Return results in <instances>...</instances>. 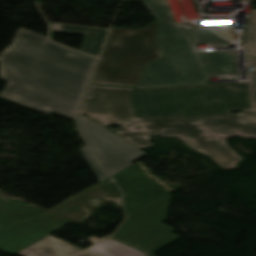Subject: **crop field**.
Segmentation results:
<instances>
[{"label": "crop field", "mask_w": 256, "mask_h": 256, "mask_svg": "<svg viewBox=\"0 0 256 256\" xmlns=\"http://www.w3.org/2000/svg\"><path fill=\"white\" fill-rule=\"evenodd\" d=\"M96 59L19 30L0 55V97L75 119Z\"/></svg>", "instance_id": "1"}, {"label": "crop field", "mask_w": 256, "mask_h": 256, "mask_svg": "<svg viewBox=\"0 0 256 256\" xmlns=\"http://www.w3.org/2000/svg\"><path fill=\"white\" fill-rule=\"evenodd\" d=\"M133 88L90 85L81 112L102 125L118 124L117 134L140 148L153 145L149 135L178 137L193 149L213 158L224 170L238 168L243 158L227 137L256 139V117L244 112L168 119H135L130 93Z\"/></svg>", "instance_id": "2"}, {"label": "crop field", "mask_w": 256, "mask_h": 256, "mask_svg": "<svg viewBox=\"0 0 256 256\" xmlns=\"http://www.w3.org/2000/svg\"><path fill=\"white\" fill-rule=\"evenodd\" d=\"M143 1L159 21L156 36L165 57L149 63L137 88L200 85L210 83V77H238L234 51L199 52L197 47L223 46L228 40L203 27L175 24L168 2Z\"/></svg>", "instance_id": "3"}, {"label": "crop field", "mask_w": 256, "mask_h": 256, "mask_svg": "<svg viewBox=\"0 0 256 256\" xmlns=\"http://www.w3.org/2000/svg\"><path fill=\"white\" fill-rule=\"evenodd\" d=\"M97 198L122 205L121 193L110 177L49 211L0 198V249L13 254L73 221H82L89 215L84 204Z\"/></svg>", "instance_id": "4"}, {"label": "crop field", "mask_w": 256, "mask_h": 256, "mask_svg": "<svg viewBox=\"0 0 256 256\" xmlns=\"http://www.w3.org/2000/svg\"><path fill=\"white\" fill-rule=\"evenodd\" d=\"M112 27L91 83L136 86L149 62L162 57L155 32Z\"/></svg>", "instance_id": "5"}, {"label": "crop field", "mask_w": 256, "mask_h": 256, "mask_svg": "<svg viewBox=\"0 0 256 256\" xmlns=\"http://www.w3.org/2000/svg\"><path fill=\"white\" fill-rule=\"evenodd\" d=\"M103 128L80 114L79 129L82 135L111 175L147 155Z\"/></svg>", "instance_id": "6"}, {"label": "crop field", "mask_w": 256, "mask_h": 256, "mask_svg": "<svg viewBox=\"0 0 256 256\" xmlns=\"http://www.w3.org/2000/svg\"><path fill=\"white\" fill-rule=\"evenodd\" d=\"M203 86L133 90L131 97L136 118L177 117L196 101Z\"/></svg>", "instance_id": "7"}, {"label": "crop field", "mask_w": 256, "mask_h": 256, "mask_svg": "<svg viewBox=\"0 0 256 256\" xmlns=\"http://www.w3.org/2000/svg\"><path fill=\"white\" fill-rule=\"evenodd\" d=\"M125 193L128 216L175 191L134 163L112 175Z\"/></svg>", "instance_id": "8"}, {"label": "crop field", "mask_w": 256, "mask_h": 256, "mask_svg": "<svg viewBox=\"0 0 256 256\" xmlns=\"http://www.w3.org/2000/svg\"><path fill=\"white\" fill-rule=\"evenodd\" d=\"M24 256H147L141 251L107 238L85 251L47 236L18 252Z\"/></svg>", "instance_id": "9"}, {"label": "crop field", "mask_w": 256, "mask_h": 256, "mask_svg": "<svg viewBox=\"0 0 256 256\" xmlns=\"http://www.w3.org/2000/svg\"><path fill=\"white\" fill-rule=\"evenodd\" d=\"M249 108L246 83L207 85L200 99L180 116L205 115Z\"/></svg>", "instance_id": "10"}, {"label": "crop field", "mask_w": 256, "mask_h": 256, "mask_svg": "<svg viewBox=\"0 0 256 256\" xmlns=\"http://www.w3.org/2000/svg\"><path fill=\"white\" fill-rule=\"evenodd\" d=\"M169 200L170 195H167L150 206L129 216L119 231L111 237L127 241L164 222L166 219ZM126 231H132V233L127 235L125 234Z\"/></svg>", "instance_id": "11"}, {"label": "crop field", "mask_w": 256, "mask_h": 256, "mask_svg": "<svg viewBox=\"0 0 256 256\" xmlns=\"http://www.w3.org/2000/svg\"><path fill=\"white\" fill-rule=\"evenodd\" d=\"M50 36L55 32L85 35L81 51L99 56L108 29L50 23Z\"/></svg>", "instance_id": "12"}, {"label": "crop field", "mask_w": 256, "mask_h": 256, "mask_svg": "<svg viewBox=\"0 0 256 256\" xmlns=\"http://www.w3.org/2000/svg\"><path fill=\"white\" fill-rule=\"evenodd\" d=\"M241 46L247 48L248 56H256V10H251Z\"/></svg>", "instance_id": "13"}, {"label": "crop field", "mask_w": 256, "mask_h": 256, "mask_svg": "<svg viewBox=\"0 0 256 256\" xmlns=\"http://www.w3.org/2000/svg\"><path fill=\"white\" fill-rule=\"evenodd\" d=\"M248 64L249 67L254 68V72L249 73L252 108L244 112L256 116V57H248Z\"/></svg>", "instance_id": "14"}, {"label": "crop field", "mask_w": 256, "mask_h": 256, "mask_svg": "<svg viewBox=\"0 0 256 256\" xmlns=\"http://www.w3.org/2000/svg\"><path fill=\"white\" fill-rule=\"evenodd\" d=\"M80 151L82 152V154L84 155V157L86 158L90 166L92 167L99 181L108 177V175L103 171V169L99 166L95 158L92 156L88 147H82Z\"/></svg>", "instance_id": "15"}, {"label": "crop field", "mask_w": 256, "mask_h": 256, "mask_svg": "<svg viewBox=\"0 0 256 256\" xmlns=\"http://www.w3.org/2000/svg\"><path fill=\"white\" fill-rule=\"evenodd\" d=\"M209 29L225 36L229 40H235L237 34L231 31V24H209L205 25Z\"/></svg>", "instance_id": "16"}, {"label": "crop field", "mask_w": 256, "mask_h": 256, "mask_svg": "<svg viewBox=\"0 0 256 256\" xmlns=\"http://www.w3.org/2000/svg\"><path fill=\"white\" fill-rule=\"evenodd\" d=\"M123 1L143 2L142 0H123Z\"/></svg>", "instance_id": "17"}, {"label": "crop field", "mask_w": 256, "mask_h": 256, "mask_svg": "<svg viewBox=\"0 0 256 256\" xmlns=\"http://www.w3.org/2000/svg\"><path fill=\"white\" fill-rule=\"evenodd\" d=\"M150 256H152V255H150Z\"/></svg>", "instance_id": "18"}]
</instances>
